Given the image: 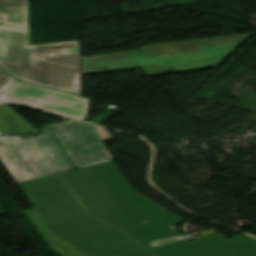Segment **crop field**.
I'll use <instances>...</instances> for the list:
<instances>
[{"label": "crop field", "mask_w": 256, "mask_h": 256, "mask_svg": "<svg viewBox=\"0 0 256 256\" xmlns=\"http://www.w3.org/2000/svg\"><path fill=\"white\" fill-rule=\"evenodd\" d=\"M5 105V104H4ZM3 106V105H2Z\"/></svg>", "instance_id": "crop-field-14"}, {"label": "crop field", "mask_w": 256, "mask_h": 256, "mask_svg": "<svg viewBox=\"0 0 256 256\" xmlns=\"http://www.w3.org/2000/svg\"><path fill=\"white\" fill-rule=\"evenodd\" d=\"M0 19L3 25L28 30L27 0H0Z\"/></svg>", "instance_id": "crop-field-9"}, {"label": "crop field", "mask_w": 256, "mask_h": 256, "mask_svg": "<svg viewBox=\"0 0 256 256\" xmlns=\"http://www.w3.org/2000/svg\"><path fill=\"white\" fill-rule=\"evenodd\" d=\"M16 81L17 80L13 79L7 73L0 69V94Z\"/></svg>", "instance_id": "crop-field-11"}, {"label": "crop field", "mask_w": 256, "mask_h": 256, "mask_svg": "<svg viewBox=\"0 0 256 256\" xmlns=\"http://www.w3.org/2000/svg\"><path fill=\"white\" fill-rule=\"evenodd\" d=\"M171 227L149 222L126 233L156 256H256V239L251 237L227 241L215 233L191 243Z\"/></svg>", "instance_id": "crop-field-4"}, {"label": "crop field", "mask_w": 256, "mask_h": 256, "mask_svg": "<svg viewBox=\"0 0 256 256\" xmlns=\"http://www.w3.org/2000/svg\"><path fill=\"white\" fill-rule=\"evenodd\" d=\"M60 175L92 214L124 232L146 220L184 221L135 192L112 162Z\"/></svg>", "instance_id": "crop-field-2"}, {"label": "crop field", "mask_w": 256, "mask_h": 256, "mask_svg": "<svg viewBox=\"0 0 256 256\" xmlns=\"http://www.w3.org/2000/svg\"><path fill=\"white\" fill-rule=\"evenodd\" d=\"M1 104H3V103H0V105H1ZM0 135H2V134H0Z\"/></svg>", "instance_id": "crop-field-13"}, {"label": "crop field", "mask_w": 256, "mask_h": 256, "mask_svg": "<svg viewBox=\"0 0 256 256\" xmlns=\"http://www.w3.org/2000/svg\"><path fill=\"white\" fill-rule=\"evenodd\" d=\"M24 213L39 232V234L47 242L52 251L60 256H85L56 235L52 234L45 226L35 209L25 211Z\"/></svg>", "instance_id": "crop-field-8"}, {"label": "crop field", "mask_w": 256, "mask_h": 256, "mask_svg": "<svg viewBox=\"0 0 256 256\" xmlns=\"http://www.w3.org/2000/svg\"><path fill=\"white\" fill-rule=\"evenodd\" d=\"M0 66L16 79L81 96L79 40L28 46V31L0 26Z\"/></svg>", "instance_id": "crop-field-3"}, {"label": "crop field", "mask_w": 256, "mask_h": 256, "mask_svg": "<svg viewBox=\"0 0 256 256\" xmlns=\"http://www.w3.org/2000/svg\"><path fill=\"white\" fill-rule=\"evenodd\" d=\"M97 133L99 134V136L101 137L102 141L105 140H111L112 137L110 136L109 132L107 131V129L104 128H100V127H95Z\"/></svg>", "instance_id": "crop-field-12"}, {"label": "crop field", "mask_w": 256, "mask_h": 256, "mask_svg": "<svg viewBox=\"0 0 256 256\" xmlns=\"http://www.w3.org/2000/svg\"><path fill=\"white\" fill-rule=\"evenodd\" d=\"M17 184L49 230L86 256H153L88 214L58 174Z\"/></svg>", "instance_id": "crop-field-1"}, {"label": "crop field", "mask_w": 256, "mask_h": 256, "mask_svg": "<svg viewBox=\"0 0 256 256\" xmlns=\"http://www.w3.org/2000/svg\"><path fill=\"white\" fill-rule=\"evenodd\" d=\"M0 100L80 121L86 117L89 108L88 99L22 81L3 92Z\"/></svg>", "instance_id": "crop-field-6"}, {"label": "crop field", "mask_w": 256, "mask_h": 256, "mask_svg": "<svg viewBox=\"0 0 256 256\" xmlns=\"http://www.w3.org/2000/svg\"><path fill=\"white\" fill-rule=\"evenodd\" d=\"M39 132L8 106L0 109V133L3 135Z\"/></svg>", "instance_id": "crop-field-10"}, {"label": "crop field", "mask_w": 256, "mask_h": 256, "mask_svg": "<svg viewBox=\"0 0 256 256\" xmlns=\"http://www.w3.org/2000/svg\"><path fill=\"white\" fill-rule=\"evenodd\" d=\"M0 160L16 183L75 169L51 133L29 141L0 136Z\"/></svg>", "instance_id": "crop-field-5"}, {"label": "crop field", "mask_w": 256, "mask_h": 256, "mask_svg": "<svg viewBox=\"0 0 256 256\" xmlns=\"http://www.w3.org/2000/svg\"><path fill=\"white\" fill-rule=\"evenodd\" d=\"M47 131L54 133L77 168L113 160L91 126L71 121L51 125Z\"/></svg>", "instance_id": "crop-field-7"}]
</instances>
